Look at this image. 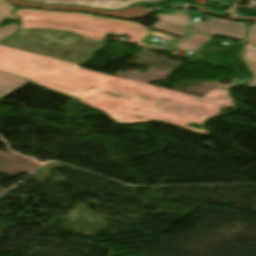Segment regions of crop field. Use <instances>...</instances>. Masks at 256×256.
I'll use <instances>...</instances> for the list:
<instances>
[{
	"mask_svg": "<svg viewBox=\"0 0 256 256\" xmlns=\"http://www.w3.org/2000/svg\"><path fill=\"white\" fill-rule=\"evenodd\" d=\"M0 70L74 96L119 123L162 121L206 134L202 124L208 117L221 114L216 110L224 105L233 108L227 90L211 89L199 98L2 45ZM189 123H197L203 129L186 126Z\"/></svg>",
	"mask_w": 256,
	"mask_h": 256,
	"instance_id": "8a807250",
	"label": "crop field"
},
{
	"mask_svg": "<svg viewBox=\"0 0 256 256\" xmlns=\"http://www.w3.org/2000/svg\"><path fill=\"white\" fill-rule=\"evenodd\" d=\"M21 18L20 29L47 28L53 30L72 31L78 35L90 38L94 41H102L108 33L114 35H128L126 43H137L145 47L147 44L140 42L150 32L134 22H125L91 16L83 13L40 11L33 9H21L14 11Z\"/></svg>",
	"mask_w": 256,
	"mask_h": 256,
	"instance_id": "ac0d7876",
	"label": "crop field"
},
{
	"mask_svg": "<svg viewBox=\"0 0 256 256\" xmlns=\"http://www.w3.org/2000/svg\"><path fill=\"white\" fill-rule=\"evenodd\" d=\"M192 24L197 32L216 34L237 39L245 37V30L247 26V23H234L217 18H212L208 22H199Z\"/></svg>",
	"mask_w": 256,
	"mask_h": 256,
	"instance_id": "34b2d1b8",
	"label": "crop field"
},
{
	"mask_svg": "<svg viewBox=\"0 0 256 256\" xmlns=\"http://www.w3.org/2000/svg\"><path fill=\"white\" fill-rule=\"evenodd\" d=\"M186 15L184 11L158 15L160 20L151 28L183 38L192 31Z\"/></svg>",
	"mask_w": 256,
	"mask_h": 256,
	"instance_id": "412701ff",
	"label": "crop field"
},
{
	"mask_svg": "<svg viewBox=\"0 0 256 256\" xmlns=\"http://www.w3.org/2000/svg\"><path fill=\"white\" fill-rule=\"evenodd\" d=\"M142 1L158 2L162 0H43L42 3L66 4L116 10L128 8L131 5L135 4V2L138 3Z\"/></svg>",
	"mask_w": 256,
	"mask_h": 256,
	"instance_id": "f4fd0767",
	"label": "crop field"
},
{
	"mask_svg": "<svg viewBox=\"0 0 256 256\" xmlns=\"http://www.w3.org/2000/svg\"><path fill=\"white\" fill-rule=\"evenodd\" d=\"M27 83L29 82L19 77L0 72V99L6 97Z\"/></svg>",
	"mask_w": 256,
	"mask_h": 256,
	"instance_id": "dd49c442",
	"label": "crop field"
},
{
	"mask_svg": "<svg viewBox=\"0 0 256 256\" xmlns=\"http://www.w3.org/2000/svg\"><path fill=\"white\" fill-rule=\"evenodd\" d=\"M244 41L256 44V23H254L253 26H250L248 37ZM243 59L246 61L256 77V47L246 43L243 53Z\"/></svg>",
	"mask_w": 256,
	"mask_h": 256,
	"instance_id": "e52e79f7",
	"label": "crop field"
},
{
	"mask_svg": "<svg viewBox=\"0 0 256 256\" xmlns=\"http://www.w3.org/2000/svg\"><path fill=\"white\" fill-rule=\"evenodd\" d=\"M213 36L203 35L199 33H192L186 40L180 43L178 46L179 49L185 51H192L195 52L198 48L208 42ZM175 47V48H176ZM174 49V48H173Z\"/></svg>",
	"mask_w": 256,
	"mask_h": 256,
	"instance_id": "d8731c3e",
	"label": "crop field"
},
{
	"mask_svg": "<svg viewBox=\"0 0 256 256\" xmlns=\"http://www.w3.org/2000/svg\"><path fill=\"white\" fill-rule=\"evenodd\" d=\"M14 7L9 5L5 0H0V22L5 18L9 19H17L13 17L10 14V11L13 10ZM18 29V26L16 25H9L5 28L0 29V41L3 40L4 38L8 37L12 33H14Z\"/></svg>",
	"mask_w": 256,
	"mask_h": 256,
	"instance_id": "5a996713",
	"label": "crop field"
},
{
	"mask_svg": "<svg viewBox=\"0 0 256 256\" xmlns=\"http://www.w3.org/2000/svg\"><path fill=\"white\" fill-rule=\"evenodd\" d=\"M238 86H241V85H237V84H230V85L218 84V85L214 86L213 88L230 89V88H234V87H238Z\"/></svg>",
	"mask_w": 256,
	"mask_h": 256,
	"instance_id": "3316defc",
	"label": "crop field"
},
{
	"mask_svg": "<svg viewBox=\"0 0 256 256\" xmlns=\"http://www.w3.org/2000/svg\"><path fill=\"white\" fill-rule=\"evenodd\" d=\"M234 0H221V5H232Z\"/></svg>",
	"mask_w": 256,
	"mask_h": 256,
	"instance_id": "28ad6ade",
	"label": "crop field"
},
{
	"mask_svg": "<svg viewBox=\"0 0 256 256\" xmlns=\"http://www.w3.org/2000/svg\"><path fill=\"white\" fill-rule=\"evenodd\" d=\"M246 87H250V88L256 87V80L251 79L249 84Z\"/></svg>",
	"mask_w": 256,
	"mask_h": 256,
	"instance_id": "d1516ede",
	"label": "crop field"
},
{
	"mask_svg": "<svg viewBox=\"0 0 256 256\" xmlns=\"http://www.w3.org/2000/svg\"><path fill=\"white\" fill-rule=\"evenodd\" d=\"M146 47H150V48H158V49H167L166 47H163V46H157V45H147Z\"/></svg>",
	"mask_w": 256,
	"mask_h": 256,
	"instance_id": "22f410ed",
	"label": "crop field"
},
{
	"mask_svg": "<svg viewBox=\"0 0 256 256\" xmlns=\"http://www.w3.org/2000/svg\"><path fill=\"white\" fill-rule=\"evenodd\" d=\"M24 1L34 2V3H40L42 0H24Z\"/></svg>",
	"mask_w": 256,
	"mask_h": 256,
	"instance_id": "cbeb9de0",
	"label": "crop field"
}]
</instances>
